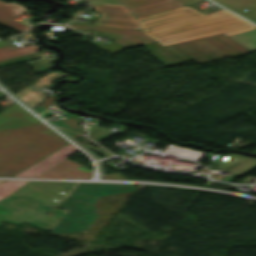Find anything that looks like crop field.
<instances>
[{"label":"crop field","instance_id":"obj_9","mask_svg":"<svg viewBox=\"0 0 256 256\" xmlns=\"http://www.w3.org/2000/svg\"><path fill=\"white\" fill-rule=\"evenodd\" d=\"M256 23V0H214ZM248 9L245 12L242 9Z\"/></svg>","mask_w":256,"mask_h":256},{"label":"crop field","instance_id":"obj_11","mask_svg":"<svg viewBox=\"0 0 256 256\" xmlns=\"http://www.w3.org/2000/svg\"><path fill=\"white\" fill-rule=\"evenodd\" d=\"M39 47L36 44L20 47L14 49L11 45L7 44L5 41H0V60L39 51Z\"/></svg>","mask_w":256,"mask_h":256},{"label":"crop field","instance_id":"obj_1","mask_svg":"<svg viewBox=\"0 0 256 256\" xmlns=\"http://www.w3.org/2000/svg\"><path fill=\"white\" fill-rule=\"evenodd\" d=\"M88 1L102 17L95 20V25H68L110 37L114 41L107 44L92 43L109 52L144 44L167 67L191 60L207 63L251 52L226 35L256 26L224 10L205 16L175 0Z\"/></svg>","mask_w":256,"mask_h":256},{"label":"crop field","instance_id":"obj_2","mask_svg":"<svg viewBox=\"0 0 256 256\" xmlns=\"http://www.w3.org/2000/svg\"><path fill=\"white\" fill-rule=\"evenodd\" d=\"M66 144L15 102L0 113V176H14Z\"/></svg>","mask_w":256,"mask_h":256},{"label":"crop field","instance_id":"obj_7","mask_svg":"<svg viewBox=\"0 0 256 256\" xmlns=\"http://www.w3.org/2000/svg\"><path fill=\"white\" fill-rule=\"evenodd\" d=\"M26 12L23 6L17 3L5 4L0 1V23L20 33L30 29V27L23 20L15 21L14 18L19 17L17 14Z\"/></svg>","mask_w":256,"mask_h":256},{"label":"crop field","instance_id":"obj_16","mask_svg":"<svg viewBox=\"0 0 256 256\" xmlns=\"http://www.w3.org/2000/svg\"><path fill=\"white\" fill-rule=\"evenodd\" d=\"M103 178L125 179L123 174L120 172L104 175Z\"/></svg>","mask_w":256,"mask_h":256},{"label":"crop field","instance_id":"obj_18","mask_svg":"<svg viewBox=\"0 0 256 256\" xmlns=\"http://www.w3.org/2000/svg\"><path fill=\"white\" fill-rule=\"evenodd\" d=\"M6 97L2 92H0V98Z\"/></svg>","mask_w":256,"mask_h":256},{"label":"crop field","instance_id":"obj_10","mask_svg":"<svg viewBox=\"0 0 256 256\" xmlns=\"http://www.w3.org/2000/svg\"><path fill=\"white\" fill-rule=\"evenodd\" d=\"M65 117L67 118L62 121L58 120L53 124H55L57 127L65 131L67 134H69L73 138H77L82 134H84L81 128L77 125L80 120L78 116L69 114Z\"/></svg>","mask_w":256,"mask_h":256},{"label":"crop field","instance_id":"obj_14","mask_svg":"<svg viewBox=\"0 0 256 256\" xmlns=\"http://www.w3.org/2000/svg\"><path fill=\"white\" fill-rule=\"evenodd\" d=\"M89 132V137L94 141H99L102 138L106 137L108 134H110L108 130L105 131V129L100 126H96L93 130Z\"/></svg>","mask_w":256,"mask_h":256},{"label":"crop field","instance_id":"obj_13","mask_svg":"<svg viewBox=\"0 0 256 256\" xmlns=\"http://www.w3.org/2000/svg\"><path fill=\"white\" fill-rule=\"evenodd\" d=\"M29 181H5L0 184V200Z\"/></svg>","mask_w":256,"mask_h":256},{"label":"crop field","instance_id":"obj_6","mask_svg":"<svg viewBox=\"0 0 256 256\" xmlns=\"http://www.w3.org/2000/svg\"><path fill=\"white\" fill-rule=\"evenodd\" d=\"M92 170L65 159L38 177L47 178H89Z\"/></svg>","mask_w":256,"mask_h":256},{"label":"crop field","instance_id":"obj_3","mask_svg":"<svg viewBox=\"0 0 256 256\" xmlns=\"http://www.w3.org/2000/svg\"><path fill=\"white\" fill-rule=\"evenodd\" d=\"M64 185L63 187L59 186ZM75 183L69 182H40L30 181L17 191L0 201V222H10L22 225L24 223L49 232L63 217L67 210L54 208L53 216L44 214L48 212L62 197L68 193ZM39 194L36 196L32 194ZM22 194L19 199L16 196Z\"/></svg>","mask_w":256,"mask_h":256},{"label":"crop field","instance_id":"obj_12","mask_svg":"<svg viewBox=\"0 0 256 256\" xmlns=\"http://www.w3.org/2000/svg\"><path fill=\"white\" fill-rule=\"evenodd\" d=\"M228 37L251 50L252 52L256 51V30L246 31Z\"/></svg>","mask_w":256,"mask_h":256},{"label":"crop field","instance_id":"obj_8","mask_svg":"<svg viewBox=\"0 0 256 256\" xmlns=\"http://www.w3.org/2000/svg\"><path fill=\"white\" fill-rule=\"evenodd\" d=\"M68 76V74H63L59 72H51L47 74L46 76L42 77L35 83L31 84L27 88L23 89L16 95L19 96L23 101H25L28 105L31 107L36 105L38 102H40L43 98H41L39 95L34 93L33 91L39 88H43L49 84L55 79L62 78ZM18 97V98H19Z\"/></svg>","mask_w":256,"mask_h":256},{"label":"crop field","instance_id":"obj_5","mask_svg":"<svg viewBox=\"0 0 256 256\" xmlns=\"http://www.w3.org/2000/svg\"><path fill=\"white\" fill-rule=\"evenodd\" d=\"M76 151L78 150L68 144L50 154L46 158L42 159L41 161L30 166L29 168L23 170L17 174L16 177H36Z\"/></svg>","mask_w":256,"mask_h":256},{"label":"crop field","instance_id":"obj_4","mask_svg":"<svg viewBox=\"0 0 256 256\" xmlns=\"http://www.w3.org/2000/svg\"><path fill=\"white\" fill-rule=\"evenodd\" d=\"M134 190L132 184L78 183L57 207L69 210L51 230L54 233L83 232L90 228L99 213H93L98 196Z\"/></svg>","mask_w":256,"mask_h":256},{"label":"crop field","instance_id":"obj_15","mask_svg":"<svg viewBox=\"0 0 256 256\" xmlns=\"http://www.w3.org/2000/svg\"><path fill=\"white\" fill-rule=\"evenodd\" d=\"M54 99H55V94L50 96L48 99H46L43 103H41L39 106H37L34 109L37 110L40 113L44 109H46L48 106L52 105L54 103Z\"/></svg>","mask_w":256,"mask_h":256},{"label":"crop field","instance_id":"obj_17","mask_svg":"<svg viewBox=\"0 0 256 256\" xmlns=\"http://www.w3.org/2000/svg\"><path fill=\"white\" fill-rule=\"evenodd\" d=\"M177 1H179V2H181L183 4H185V5H192V4H194L196 2H199L201 0H177Z\"/></svg>","mask_w":256,"mask_h":256},{"label":"crop field","instance_id":"obj_19","mask_svg":"<svg viewBox=\"0 0 256 256\" xmlns=\"http://www.w3.org/2000/svg\"><path fill=\"white\" fill-rule=\"evenodd\" d=\"M0 182H2V181H0Z\"/></svg>","mask_w":256,"mask_h":256}]
</instances>
